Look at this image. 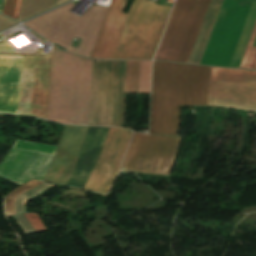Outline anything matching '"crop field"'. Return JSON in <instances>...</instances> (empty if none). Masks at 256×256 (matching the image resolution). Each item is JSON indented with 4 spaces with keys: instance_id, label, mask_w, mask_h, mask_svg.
<instances>
[{
    "instance_id": "8a807250",
    "label": "crop field",
    "mask_w": 256,
    "mask_h": 256,
    "mask_svg": "<svg viewBox=\"0 0 256 256\" xmlns=\"http://www.w3.org/2000/svg\"><path fill=\"white\" fill-rule=\"evenodd\" d=\"M126 1L112 0L90 58H153L170 8L135 0L124 14Z\"/></svg>"
},
{
    "instance_id": "ac0d7876",
    "label": "crop field",
    "mask_w": 256,
    "mask_h": 256,
    "mask_svg": "<svg viewBox=\"0 0 256 256\" xmlns=\"http://www.w3.org/2000/svg\"><path fill=\"white\" fill-rule=\"evenodd\" d=\"M210 67L154 62L149 134L177 135L179 105H207Z\"/></svg>"
},
{
    "instance_id": "34b2d1b8",
    "label": "crop field",
    "mask_w": 256,
    "mask_h": 256,
    "mask_svg": "<svg viewBox=\"0 0 256 256\" xmlns=\"http://www.w3.org/2000/svg\"><path fill=\"white\" fill-rule=\"evenodd\" d=\"M21 57L0 56V112L17 114ZM51 56L22 57L18 114L47 119Z\"/></svg>"
},
{
    "instance_id": "412701ff",
    "label": "crop field",
    "mask_w": 256,
    "mask_h": 256,
    "mask_svg": "<svg viewBox=\"0 0 256 256\" xmlns=\"http://www.w3.org/2000/svg\"><path fill=\"white\" fill-rule=\"evenodd\" d=\"M92 60L53 47L48 120L88 125Z\"/></svg>"
},
{
    "instance_id": "f4fd0767",
    "label": "crop field",
    "mask_w": 256,
    "mask_h": 256,
    "mask_svg": "<svg viewBox=\"0 0 256 256\" xmlns=\"http://www.w3.org/2000/svg\"><path fill=\"white\" fill-rule=\"evenodd\" d=\"M108 128L89 127L67 186L84 189ZM132 131L109 128L85 187L106 195L121 164Z\"/></svg>"
},
{
    "instance_id": "dd49c442",
    "label": "crop field",
    "mask_w": 256,
    "mask_h": 256,
    "mask_svg": "<svg viewBox=\"0 0 256 256\" xmlns=\"http://www.w3.org/2000/svg\"><path fill=\"white\" fill-rule=\"evenodd\" d=\"M126 61L93 62L89 125L122 127Z\"/></svg>"
},
{
    "instance_id": "e52e79f7",
    "label": "crop field",
    "mask_w": 256,
    "mask_h": 256,
    "mask_svg": "<svg viewBox=\"0 0 256 256\" xmlns=\"http://www.w3.org/2000/svg\"><path fill=\"white\" fill-rule=\"evenodd\" d=\"M210 0H176L154 59L187 63Z\"/></svg>"
},
{
    "instance_id": "d8731c3e",
    "label": "crop field",
    "mask_w": 256,
    "mask_h": 256,
    "mask_svg": "<svg viewBox=\"0 0 256 256\" xmlns=\"http://www.w3.org/2000/svg\"><path fill=\"white\" fill-rule=\"evenodd\" d=\"M181 138L135 132L121 171L168 175Z\"/></svg>"
},
{
    "instance_id": "5a996713",
    "label": "crop field",
    "mask_w": 256,
    "mask_h": 256,
    "mask_svg": "<svg viewBox=\"0 0 256 256\" xmlns=\"http://www.w3.org/2000/svg\"><path fill=\"white\" fill-rule=\"evenodd\" d=\"M208 105L256 111V72L211 67Z\"/></svg>"
},
{
    "instance_id": "3316defc",
    "label": "crop field",
    "mask_w": 256,
    "mask_h": 256,
    "mask_svg": "<svg viewBox=\"0 0 256 256\" xmlns=\"http://www.w3.org/2000/svg\"><path fill=\"white\" fill-rule=\"evenodd\" d=\"M53 156L11 148L0 163V175L17 184L32 178L42 180Z\"/></svg>"
},
{
    "instance_id": "28ad6ade",
    "label": "crop field",
    "mask_w": 256,
    "mask_h": 256,
    "mask_svg": "<svg viewBox=\"0 0 256 256\" xmlns=\"http://www.w3.org/2000/svg\"><path fill=\"white\" fill-rule=\"evenodd\" d=\"M88 127L65 126L44 181L65 184L79 154Z\"/></svg>"
},
{
    "instance_id": "d1516ede",
    "label": "crop field",
    "mask_w": 256,
    "mask_h": 256,
    "mask_svg": "<svg viewBox=\"0 0 256 256\" xmlns=\"http://www.w3.org/2000/svg\"><path fill=\"white\" fill-rule=\"evenodd\" d=\"M151 61H127L125 92L149 93Z\"/></svg>"
},
{
    "instance_id": "22f410ed",
    "label": "crop field",
    "mask_w": 256,
    "mask_h": 256,
    "mask_svg": "<svg viewBox=\"0 0 256 256\" xmlns=\"http://www.w3.org/2000/svg\"><path fill=\"white\" fill-rule=\"evenodd\" d=\"M222 3L223 0H211L188 63H200Z\"/></svg>"
},
{
    "instance_id": "cbeb9de0",
    "label": "crop field",
    "mask_w": 256,
    "mask_h": 256,
    "mask_svg": "<svg viewBox=\"0 0 256 256\" xmlns=\"http://www.w3.org/2000/svg\"><path fill=\"white\" fill-rule=\"evenodd\" d=\"M43 182L41 181H35V180H31L19 187H17L16 189L12 190L6 197L5 199V209H6V215L10 216V215H14L16 214L15 211V202L17 200V198L22 195L24 192L36 187L37 185L41 184Z\"/></svg>"
},
{
    "instance_id": "5142ce71",
    "label": "crop field",
    "mask_w": 256,
    "mask_h": 256,
    "mask_svg": "<svg viewBox=\"0 0 256 256\" xmlns=\"http://www.w3.org/2000/svg\"><path fill=\"white\" fill-rule=\"evenodd\" d=\"M53 186L54 185H52V184L43 183V184L37 186L36 188L30 190L29 192L23 194L22 196H20L16 202L17 214L25 212V206L31 198L37 196L41 192H43Z\"/></svg>"
},
{
    "instance_id": "d9b57169",
    "label": "crop field",
    "mask_w": 256,
    "mask_h": 256,
    "mask_svg": "<svg viewBox=\"0 0 256 256\" xmlns=\"http://www.w3.org/2000/svg\"><path fill=\"white\" fill-rule=\"evenodd\" d=\"M255 35H256V25L239 68L256 70V48L251 47Z\"/></svg>"
},
{
    "instance_id": "733c2abd",
    "label": "crop field",
    "mask_w": 256,
    "mask_h": 256,
    "mask_svg": "<svg viewBox=\"0 0 256 256\" xmlns=\"http://www.w3.org/2000/svg\"><path fill=\"white\" fill-rule=\"evenodd\" d=\"M14 148L27 149V150H33V151H39V152H45V153H51V154H54L56 150L55 146H49V145L20 141V140L16 141Z\"/></svg>"
},
{
    "instance_id": "4a817a6b",
    "label": "crop field",
    "mask_w": 256,
    "mask_h": 256,
    "mask_svg": "<svg viewBox=\"0 0 256 256\" xmlns=\"http://www.w3.org/2000/svg\"><path fill=\"white\" fill-rule=\"evenodd\" d=\"M20 4L21 0H5L2 13L16 20Z\"/></svg>"
},
{
    "instance_id": "bc2a9ffb",
    "label": "crop field",
    "mask_w": 256,
    "mask_h": 256,
    "mask_svg": "<svg viewBox=\"0 0 256 256\" xmlns=\"http://www.w3.org/2000/svg\"><path fill=\"white\" fill-rule=\"evenodd\" d=\"M25 216L27 217L35 232L46 231L45 226L37 214H25Z\"/></svg>"
},
{
    "instance_id": "214f88e0",
    "label": "crop field",
    "mask_w": 256,
    "mask_h": 256,
    "mask_svg": "<svg viewBox=\"0 0 256 256\" xmlns=\"http://www.w3.org/2000/svg\"><path fill=\"white\" fill-rule=\"evenodd\" d=\"M25 234L33 233L34 230L31 228L29 223L23 217V215L13 217Z\"/></svg>"
},
{
    "instance_id": "92a150f3",
    "label": "crop field",
    "mask_w": 256,
    "mask_h": 256,
    "mask_svg": "<svg viewBox=\"0 0 256 256\" xmlns=\"http://www.w3.org/2000/svg\"><path fill=\"white\" fill-rule=\"evenodd\" d=\"M3 4H4V0H0V13L2 12Z\"/></svg>"
}]
</instances>
